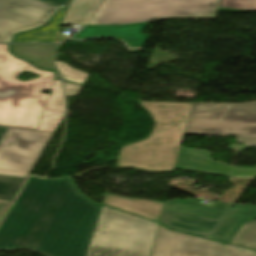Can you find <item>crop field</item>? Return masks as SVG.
Returning <instances> with one entry per match:
<instances>
[{
  "label": "crop field",
  "instance_id": "crop-field-1",
  "mask_svg": "<svg viewBox=\"0 0 256 256\" xmlns=\"http://www.w3.org/2000/svg\"><path fill=\"white\" fill-rule=\"evenodd\" d=\"M101 207L68 178L29 177L0 224V249L85 256Z\"/></svg>",
  "mask_w": 256,
  "mask_h": 256
},
{
  "label": "crop field",
  "instance_id": "crop-field-2",
  "mask_svg": "<svg viewBox=\"0 0 256 256\" xmlns=\"http://www.w3.org/2000/svg\"><path fill=\"white\" fill-rule=\"evenodd\" d=\"M37 130L0 125V199L13 200L64 117L60 80H55Z\"/></svg>",
  "mask_w": 256,
  "mask_h": 256
},
{
  "label": "crop field",
  "instance_id": "crop-field-3",
  "mask_svg": "<svg viewBox=\"0 0 256 256\" xmlns=\"http://www.w3.org/2000/svg\"><path fill=\"white\" fill-rule=\"evenodd\" d=\"M155 122L150 137L124 146L117 167H137L148 171L174 170L192 103L140 101Z\"/></svg>",
  "mask_w": 256,
  "mask_h": 256
},
{
  "label": "crop field",
  "instance_id": "crop-field-4",
  "mask_svg": "<svg viewBox=\"0 0 256 256\" xmlns=\"http://www.w3.org/2000/svg\"><path fill=\"white\" fill-rule=\"evenodd\" d=\"M24 71L40 77L27 82L17 80ZM56 76L53 72L36 69L31 64L14 58L8 44H0V124L36 129Z\"/></svg>",
  "mask_w": 256,
  "mask_h": 256
},
{
  "label": "crop field",
  "instance_id": "crop-field-5",
  "mask_svg": "<svg viewBox=\"0 0 256 256\" xmlns=\"http://www.w3.org/2000/svg\"><path fill=\"white\" fill-rule=\"evenodd\" d=\"M156 225L103 206L86 256H149Z\"/></svg>",
  "mask_w": 256,
  "mask_h": 256
},
{
  "label": "crop field",
  "instance_id": "crop-field-6",
  "mask_svg": "<svg viewBox=\"0 0 256 256\" xmlns=\"http://www.w3.org/2000/svg\"><path fill=\"white\" fill-rule=\"evenodd\" d=\"M220 0H104L89 25L215 17Z\"/></svg>",
  "mask_w": 256,
  "mask_h": 256
},
{
  "label": "crop field",
  "instance_id": "crop-field-7",
  "mask_svg": "<svg viewBox=\"0 0 256 256\" xmlns=\"http://www.w3.org/2000/svg\"><path fill=\"white\" fill-rule=\"evenodd\" d=\"M184 135H237L256 147V102L193 103Z\"/></svg>",
  "mask_w": 256,
  "mask_h": 256
},
{
  "label": "crop field",
  "instance_id": "crop-field-8",
  "mask_svg": "<svg viewBox=\"0 0 256 256\" xmlns=\"http://www.w3.org/2000/svg\"><path fill=\"white\" fill-rule=\"evenodd\" d=\"M59 8L39 0H0V42L14 33L44 25Z\"/></svg>",
  "mask_w": 256,
  "mask_h": 256
},
{
  "label": "crop field",
  "instance_id": "crop-field-9",
  "mask_svg": "<svg viewBox=\"0 0 256 256\" xmlns=\"http://www.w3.org/2000/svg\"><path fill=\"white\" fill-rule=\"evenodd\" d=\"M150 256H227L222 245L157 225Z\"/></svg>",
  "mask_w": 256,
  "mask_h": 256
},
{
  "label": "crop field",
  "instance_id": "crop-field-10",
  "mask_svg": "<svg viewBox=\"0 0 256 256\" xmlns=\"http://www.w3.org/2000/svg\"><path fill=\"white\" fill-rule=\"evenodd\" d=\"M147 23L87 26L72 38L114 37L124 41L128 47L144 46L148 35L141 32Z\"/></svg>",
  "mask_w": 256,
  "mask_h": 256
},
{
  "label": "crop field",
  "instance_id": "crop-field-11",
  "mask_svg": "<svg viewBox=\"0 0 256 256\" xmlns=\"http://www.w3.org/2000/svg\"><path fill=\"white\" fill-rule=\"evenodd\" d=\"M211 163L213 165H210ZM230 168L231 166L213 162L210 152L181 147L175 169L229 177Z\"/></svg>",
  "mask_w": 256,
  "mask_h": 256
},
{
  "label": "crop field",
  "instance_id": "crop-field-12",
  "mask_svg": "<svg viewBox=\"0 0 256 256\" xmlns=\"http://www.w3.org/2000/svg\"><path fill=\"white\" fill-rule=\"evenodd\" d=\"M217 221L216 219L163 211L160 224L170 229L212 239L207 233Z\"/></svg>",
  "mask_w": 256,
  "mask_h": 256
},
{
  "label": "crop field",
  "instance_id": "crop-field-13",
  "mask_svg": "<svg viewBox=\"0 0 256 256\" xmlns=\"http://www.w3.org/2000/svg\"><path fill=\"white\" fill-rule=\"evenodd\" d=\"M103 204L159 222L165 203L130 199L106 193Z\"/></svg>",
  "mask_w": 256,
  "mask_h": 256
},
{
  "label": "crop field",
  "instance_id": "crop-field-14",
  "mask_svg": "<svg viewBox=\"0 0 256 256\" xmlns=\"http://www.w3.org/2000/svg\"><path fill=\"white\" fill-rule=\"evenodd\" d=\"M256 216L255 206H239L234 207L228 214L217 224V226L209 233L211 237L228 243L239 224L246 219Z\"/></svg>",
  "mask_w": 256,
  "mask_h": 256
},
{
  "label": "crop field",
  "instance_id": "crop-field-15",
  "mask_svg": "<svg viewBox=\"0 0 256 256\" xmlns=\"http://www.w3.org/2000/svg\"><path fill=\"white\" fill-rule=\"evenodd\" d=\"M57 45L49 44H11V52L39 68L55 70L52 64L53 52Z\"/></svg>",
  "mask_w": 256,
  "mask_h": 256
},
{
  "label": "crop field",
  "instance_id": "crop-field-16",
  "mask_svg": "<svg viewBox=\"0 0 256 256\" xmlns=\"http://www.w3.org/2000/svg\"><path fill=\"white\" fill-rule=\"evenodd\" d=\"M65 13L66 9L59 11L46 27L18 34L13 42L59 43L64 41L67 37L61 36L58 28Z\"/></svg>",
  "mask_w": 256,
  "mask_h": 256
},
{
  "label": "crop field",
  "instance_id": "crop-field-17",
  "mask_svg": "<svg viewBox=\"0 0 256 256\" xmlns=\"http://www.w3.org/2000/svg\"><path fill=\"white\" fill-rule=\"evenodd\" d=\"M199 200L200 199H194L192 201H184L179 199H175L174 201L167 200L163 210L216 219L222 218L228 211L226 205H216L210 208L200 205L198 203Z\"/></svg>",
  "mask_w": 256,
  "mask_h": 256
},
{
  "label": "crop field",
  "instance_id": "crop-field-18",
  "mask_svg": "<svg viewBox=\"0 0 256 256\" xmlns=\"http://www.w3.org/2000/svg\"><path fill=\"white\" fill-rule=\"evenodd\" d=\"M102 0H72L61 25H86Z\"/></svg>",
  "mask_w": 256,
  "mask_h": 256
},
{
  "label": "crop field",
  "instance_id": "crop-field-19",
  "mask_svg": "<svg viewBox=\"0 0 256 256\" xmlns=\"http://www.w3.org/2000/svg\"><path fill=\"white\" fill-rule=\"evenodd\" d=\"M230 243L256 249V220L244 223Z\"/></svg>",
  "mask_w": 256,
  "mask_h": 256
},
{
  "label": "crop field",
  "instance_id": "crop-field-20",
  "mask_svg": "<svg viewBox=\"0 0 256 256\" xmlns=\"http://www.w3.org/2000/svg\"><path fill=\"white\" fill-rule=\"evenodd\" d=\"M218 10L231 12L256 10V0H221Z\"/></svg>",
  "mask_w": 256,
  "mask_h": 256
},
{
  "label": "crop field",
  "instance_id": "crop-field-21",
  "mask_svg": "<svg viewBox=\"0 0 256 256\" xmlns=\"http://www.w3.org/2000/svg\"><path fill=\"white\" fill-rule=\"evenodd\" d=\"M55 63L60 71L62 79L83 84L88 76V74L84 72L71 68L66 63H62V62H55Z\"/></svg>",
  "mask_w": 256,
  "mask_h": 256
},
{
  "label": "crop field",
  "instance_id": "crop-field-22",
  "mask_svg": "<svg viewBox=\"0 0 256 256\" xmlns=\"http://www.w3.org/2000/svg\"><path fill=\"white\" fill-rule=\"evenodd\" d=\"M232 177L236 178H256V169L234 167Z\"/></svg>",
  "mask_w": 256,
  "mask_h": 256
},
{
  "label": "crop field",
  "instance_id": "crop-field-23",
  "mask_svg": "<svg viewBox=\"0 0 256 256\" xmlns=\"http://www.w3.org/2000/svg\"><path fill=\"white\" fill-rule=\"evenodd\" d=\"M229 256H256L253 251L244 250L240 247L224 245Z\"/></svg>",
  "mask_w": 256,
  "mask_h": 256
},
{
  "label": "crop field",
  "instance_id": "crop-field-24",
  "mask_svg": "<svg viewBox=\"0 0 256 256\" xmlns=\"http://www.w3.org/2000/svg\"><path fill=\"white\" fill-rule=\"evenodd\" d=\"M65 84V91H66V95H77L81 86L79 85H75V84H70V83H66Z\"/></svg>",
  "mask_w": 256,
  "mask_h": 256
},
{
  "label": "crop field",
  "instance_id": "crop-field-25",
  "mask_svg": "<svg viewBox=\"0 0 256 256\" xmlns=\"http://www.w3.org/2000/svg\"><path fill=\"white\" fill-rule=\"evenodd\" d=\"M46 3L52 4L54 6H57L61 9H63L65 6H67L69 0H41Z\"/></svg>",
  "mask_w": 256,
  "mask_h": 256
},
{
  "label": "crop field",
  "instance_id": "crop-field-26",
  "mask_svg": "<svg viewBox=\"0 0 256 256\" xmlns=\"http://www.w3.org/2000/svg\"><path fill=\"white\" fill-rule=\"evenodd\" d=\"M10 203L11 201L8 200H0V219L2 218Z\"/></svg>",
  "mask_w": 256,
  "mask_h": 256
}]
</instances>
